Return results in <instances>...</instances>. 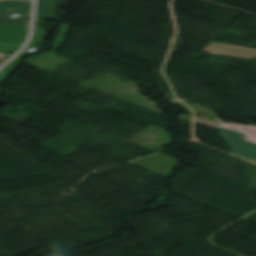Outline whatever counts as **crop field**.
<instances>
[{
    "instance_id": "1",
    "label": "crop field",
    "mask_w": 256,
    "mask_h": 256,
    "mask_svg": "<svg viewBox=\"0 0 256 256\" xmlns=\"http://www.w3.org/2000/svg\"><path fill=\"white\" fill-rule=\"evenodd\" d=\"M248 131L220 124V136L231 147V154L256 162V143L247 137Z\"/></svg>"
},
{
    "instance_id": "2",
    "label": "crop field",
    "mask_w": 256,
    "mask_h": 256,
    "mask_svg": "<svg viewBox=\"0 0 256 256\" xmlns=\"http://www.w3.org/2000/svg\"><path fill=\"white\" fill-rule=\"evenodd\" d=\"M31 2L0 1V25L28 26L29 20L10 19V12L29 13Z\"/></svg>"
},
{
    "instance_id": "3",
    "label": "crop field",
    "mask_w": 256,
    "mask_h": 256,
    "mask_svg": "<svg viewBox=\"0 0 256 256\" xmlns=\"http://www.w3.org/2000/svg\"><path fill=\"white\" fill-rule=\"evenodd\" d=\"M27 29L28 27L0 26V50L16 52L26 39Z\"/></svg>"
},
{
    "instance_id": "4",
    "label": "crop field",
    "mask_w": 256,
    "mask_h": 256,
    "mask_svg": "<svg viewBox=\"0 0 256 256\" xmlns=\"http://www.w3.org/2000/svg\"><path fill=\"white\" fill-rule=\"evenodd\" d=\"M202 51L203 52L226 55V56L244 58V59H254V58H256V49L234 46V45L221 44V43H215V42H211Z\"/></svg>"
},
{
    "instance_id": "5",
    "label": "crop field",
    "mask_w": 256,
    "mask_h": 256,
    "mask_svg": "<svg viewBox=\"0 0 256 256\" xmlns=\"http://www.w3.org/2000/svg\"><path fill=\"white\" fill-rule=\"evenodd\" d=\"M53 0H38L36 19L49 20L52 16Z\"/></svg>"
},
{
    "instance_id": "6",
    "label": "crop field",
    "mask_w": 256,
    "mask_h": 256,
    "mask_svg": "<svg viewBox=\"0 0 256 256\" xmlns=\"http://www.w3.org/2000/svg\"><path fill=\"white\" fill-rule=\"evenodd\" d=\"M243 129V128H242ZM248 130V129H246ZM250 132L247 134L248 137L250 138L251 141H255L256 142V132L249 130Z\"/></svg>"
},
{
    "instance_id": "7",
    "label": "crop field",
    "mask_w": 256,
    "mask_h": 256,
    "mask_svg": "<svg viewBox=\"0 0 256 256\" xmlns=\"http://www.w3.org/2000/svg\"><path fill=\"white\" fill-rule=\"evenodd\" d=\"M231 125H235V126H239V127H244V128H248V129H252V130L256 131V126L239 125V124H231Z\"/></svg>"
}]
</instances>
